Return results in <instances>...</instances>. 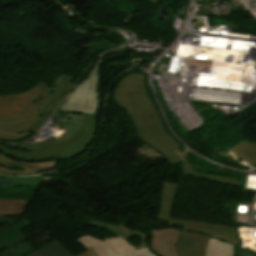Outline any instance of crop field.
Returning a JSON list of instances; mask_svg holds the SVG:
<instances>
[{"instance_id": "17", "label": "crop field", "mask_w": 256, "mask_h": 256, "mask_svg": "<svg viewBox=\"0 0 256 256\" xmlns=\"http://www.w3.org/2000/svg\"><path fill=\"white\" fill-rule=\"evenodd\" d=\"M0 177L1 178L14 179V184L12 186H0V188H12V187L19 186V185H22V184L37 187L44 180V179L40 178V176H35V177H6V176H0Z\"/></svg>"}, {"instance_id": "22", "label": "crop field", "mask_w": 256, "mask_h": 256, "mask_svg": "<svg viewBox=\"0 0 256 256\" xmlns=\"http://www.w3.org/2000/svg\"><path fill=\"white\" fill-rule=\"evenodd\" d=\"M151 4H156L157 5V0H150Z\"/></svg>"}, {"instance_id": "19", "label": "crop field", "mask_w": 256, "mask_h": 256, "mask_svg": "<svg viewBox=\"0 0 256 256\" xmlns=\"http://www.w3.org/2000/svg\"><path fill=\"white\" fill-rule=\"evenodd\" d=\"M74 256H96V254L94 253V251L92 250V248H88Z\"/></svg>"}, {"instance_id": "10", "label": "crop field", "mask_w": 256, "mask_h": 256, "mask_svg": "<svg viewBox=\"0 0 256 256\" xmlns=\"http://www.w3.org/2000/svg\"><path fill=\"white\" fill-rule=\"evenodd\" d=\"M30 222L23 220L0 232V249L16 242L24 240L22 229L29 226Z\"/></svg>"}, {"instance_id": "24", "label": "crop field", "mask_w": 256, "mask_h": 256, "mask_svg": "<svg viewBox=\"0 0 256 256\" xmlns=\"http://www.w3.org/2000/svg\"><path fill=\"white\" fill-rule=\"evenodd\" d=\"M0 155H2V154H0ZM3 156V155H2Z\"/></svg>"}, {"instance_id": "9", "label": "crop field", "mask_w": 256, "mask_h": 256, "mask_svg": "<svg viewBox=\"0 0 256 256\" xmlns=\"http://www.w3.org/2000/svg\"><path fill=\"white\" fill-rule=\"evenodd\" d=\"M57 161H46L40 163H23L13 161L0 156V171L20 174L36 173V171L51 168Z\"/></svg>"}, {"instance_id": "2", "label": "crop field", "mask_w": 256, "mask_h": 256, "mask_svg": "<svg viewBox=\"0 0 256 256\" xmlns=\"http://www.w3.org/2000/svg\"><path fill=\"white\" fill-rule=\"evenodd\" d=\"M178 185L163 182L162 201L157 219L168 222V226H181L177 242L179 256H205L209 236L238 244L234 227L197 223L171 218Z\"/></svg>"}, {"instance_id": "14", "label": "crop field", "mask_w": 256, "mask_h": 256, "mask_svg": "<svg viewBox=\"0 0 256 256\" xmlns=\"http://www.w3.org/2000/svg\"><path fill=\"white\" fill-rule=\"evenodd\" d=\"M27 201L0 199V217L22 214Z\"/></svg>"}, {"instance_id": "12", "label": "crop field", "mask_w": 256, "mask_h": 256, "mask_svg": "<svg viewBox=\"0 0 256 256\" xmlns=\"http://www.w3.org/2000/svg\"><path fill=\"white\" fill-rule=\"evenodd\" d=\"M189 153H191V152L187 151L182 154V157L185 161L184 172L186 174L192 175L195 177H199V178H203V179H207V180H211V181H215V182H219V183H223V184L234 185V186L240 185L237 181H235L234 179H231V178L220 177V176H211V175H205V174L195 172L193 170L192 166L188 163L187 158H186V156Z\"/></svg>"}, {"instance_id": "18", "label": "crop field", "mask_w": 256, "mask_h": 256, "mask_svg": "<svg viewBox=\"0 0 256 256\" xmlns=\"http://www.w3.org/2000/svg\"><path fill=\"white\" fill-rule=\"evenodd\" d=\"M28 136L30 135H16V134L0 132V139H6V140H17V139L25 138Z\"/></svg>"}, {"instance_id": "6", "label": "crop field", "mask_w": 256, "mask_h": 256, "mask_svg": "<svg viewBox=\"0 0 256 256\" xmlns=\"http://www.w3.org/2000/svg\"><path fill=\"white\" fill-rule=\"evenodd\" d=\"M102 60L97 61L88 77L78 85L59 110L95 114L98 105V71Z\"/></svg>"}, {"instance_id": "21", "label": "crop field", "mask_w": 256, "mask_h": 256, "mask_svg": "<svg viewBox=\"0 0 256 256\" xmlns=\"http://www.w3.org/2000/svg\"><path fill=\"white\" fill-rule=\"evenodd\" d=\"M238 255L239 256H251V255H249V254H247L245 252H242V251H239Z\"/></svg>"}, {"instance_id": "16", "label": "crop field", "mask_w": 256, "mask_h": 256, "mask_svg": "<svg viewBox=\"0 0 256 256\" xmlns=\"http://www.w3.org/2000/svg\"><path fill=\"white\" fill-rule=\"evenodd\" d=\"M232 150L248 164L254 165L256 163V143L244 141L240 145L232 148Z\"/></svg>"}, {"instance_id": "15", "label": "crop field", "mask_w": 256, "mask_h": 256, "mask_svg": "<svg viewBox=\"0 0 256 256\" xmlns=\"http://www.w3.org/2000/svg\"><path fill=\"white\" fill-rule=\"evenodd\" d=\"M233 245L209 238L206 256H232Z\"/></svg>"}, {"instance_id": "20", "label": "crop field", "mask_w": 256, "mask_h": 256, "mask_svg": "<svg viewBox=\"0 0 256 256\" xmlns=\"http://www.w3.org/2000/svg\"><path fill=\"white\" fill-rule=\"evenodd\" d=\"M11 184H13V180L0 178V185H11Z\"/></svg>"}, {"instance_id": "3", "label": "crop field", "mask_w": 256, "mask_h": 256, "mask_svg": "<svg viewBox=\"0 0 256 256\" xmlns=\"http://www.w3.org/2000/svg\"><path fill=\"white\" fill-rule=\"evenodd\" d=\"M73 79L61 74L52 83V87L39 81L28 90V100L23 111L0 115V129L15 133H30L39 129L72 88Z\"/></svg>"}, {"instance_id": "4", "label": "crop field", "mask_w": 256, "mask_h": 256, "mask_svg": "<svg viewBox=\"0 0 256 256\" xmlns=\"http://www.w3.org/2000/svg\"><path fill=\"white\" fill-rule=\"evenodd\" d=\"M56 113L60 116L57 122L67 129L62 138H52L21 147L33 152H19L11 149H6L4 152L21 159L64 158L77 153L89 142L93 134L95 115L69 111H56Z\"/></svg>"}, {"instance_id": "11", "label": "crop field", "mask_w": 256, "mask_h": 256, "mask_svg": "<svg viewBox=\"0 0 256 256\" xmlns=\"http://www.w3.org/2000/svg\"><path fill=\"white\" fill-rule=\"evenodd\" d=\"M27 100V91L9 96H0V114L23 110Z\"/></svg>"}, {"instance_id": "7", "label": "crop field", "mask_w": 256, "mask_h": 256, "mask_svg": "<svg viewBox=\"0 0 256 256\" xmlns=\"http://www.w3.org/2000/svg\"><path fill=\"white\" fill-rule=\"evenodd\" d=\"M73 240L77 242L79 245H81L82 247H84L85 249L91 246L95 251V253L97 254V256H156L150 250V247L117 255L113 247L110 246L108 243L94 236H91L87 233Z\"/></svg>"}, {"instance_id": "8", "label": "crop field", "mask_w": 256, "mask_h": 256, "mask_svg": "<svg viewBox=\"0 0 256 256\" xmlns=\"http://www.w3.org/2000/svg\"><path fill=\"white\" fill-rule=\"evenodd\" d=\"M179 233L180 230L176 229L152 230L150 237L151 250L157 256H178L175 245Z\"/></svg>"}, {"instance_id": "1", "label": "crop field", "mask_w": 256, "mask_h": 256, "mask_svg": "<svg viewBox=\"0 0 256 256\" xmlns=\"http://www.w3.org/2000/svg\"><path fill=\"white\" fill-rule=\"evenodd\" d=\"M120 107L130 115L139 139L172 164L182 161L179 145L166 135L159 116L146 95L144 75H132L118 86L115 95Z\"/></svg>"}, {"instance_id": "23", "label": "crop field", "mask_w": 256, "mask_h": 256, "mask_svg": "<svg viewBox=\"0 0 256 256\" xmlns=\"http://www.w3.org/2000/svg\"><path fill=\"white\" fill-rule=\"evenodd\" d=\"M0 149L4 150V149H6V148L0 146Z\"/></svg>"}, {"instance_id": "13", "label": "crop field", "mask_w": 256, "mask_h": 256, "mask_svg": "<svg viewBox=\"0 0 256 256\" xmlns=\"http://www.w3.org/2000/svg\"><path fill=\"white\" fill-rule=\"evenodd\" d=\"M28 256H73L58 241L51 242Z\"/></svg>"}, {"instance_id": "5", "label": "crop field", "mask_w": 256, "mask_h": 256, "mask_svg": "<svg viewBox=\"0 0 256 256\" xmlns=\"http://www.w3.org/2000/svg\"><path fill=\"white\" fill-rule=\"evenodd\" d=\"M86 225L113 233L114 235L112 237H110L109 239L106 238L104 240L114 247L117 254L150 246V232H131L125 227L128 224L124 221L121 222L119 225L115 226L113 224L106 223L95 218H90Z\"/></svg>"}]
</instances>
